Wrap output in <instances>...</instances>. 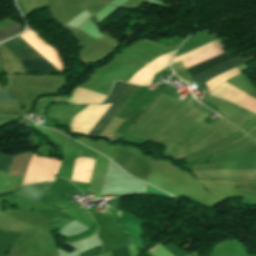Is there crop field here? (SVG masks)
<instances>
[{"label": "crop field", "mask_w": 256, "mask_h": 256, "mask_svg": "<svg viewBox=\"0 0 256 256\" xmlns=\"http://www.w3.org/2000/svg\"><path fill=\"white\" fill-rule=\"evenodd\" d=\"M4 45L18 58H25L38 53L34 51L29 45H27L20 38L4 43ZM27 73L30 72H44V73H57L58 71L52 67L43 57L40 55L21 59L20 60Z\"/></svg>", "instance_id": "1"}, {"label": "crop field", "mask_w": 256, "mask_h": 256, "mask_svg": "<svg viewBox=\"0 0 256 256\" xmlns=\"http://www.w3.org/2000/svg\"><path fill=\"white\" fill-rule=\"evenodd\" d=\"M11 157L12 156L0 154V172L7 173Z\"/></svg>", "instance_id": "7"}, {"label": "crop field", "mask_w": 256, "mask_h": 256, "mask_svg": "<svg viewBox=\"0 0 256 256\" xmlns=\"http://www.w3.org/2000/svg\"><path fill=\"white\" fill-rule=\"evenodd\" d=\"M246 62H249V61L243 60V59H233V60H230V61H228L220 66H217L209 71H206L192 79L201 85L202 83L208 81L209 79H211V78H213V77H215L233 67L244 64Z\"/></svg>", "instance_id": "4"}, {"label": "crop field", "mask_w": 256, "mask_h": 256, "mask_svg": "<svg viewBox=\"0 0 256 256\" xmlns=\"http://www.w3.org/2000/svg\"><path fill=\"white\" fill-rule=\"evenodd\" d=\"M55 178L51 179L54 180ZM54 181L42 182L40 184L24 185L22 189L13 193V195L21 196L32 201H39L48 191Z\"/></svg>", "instance_id": "3"}, {"label": "crop field", "mask_w": 256, "mask_h": 256, "mask_svg": "<svg viewBox=\"0 0 256 256\" xmlns=\"http://www.w3.org/2000/svg\"><path fill=\"white\" fill-rule=\"evenodd\" d=\"M137 86L124 84L121 82H117L108 99L105 103L114 102L108 112L103 116V118L97 123V125L91 130L88 134L90 136H98L100 132L104 129V127L108 124V122L112 119V117L116 114V112L123 105L124 101L131 95V93L136 89ZM104 103V104H105Z\"/></svg>", "instance_id": "2"}, {"label": "crop field", "mask_w": 256, "mask_h": 256, "mask_svg": "<svg viewBox=\"0 0 256 256\" xmlns=\"http://www.w3.org/2000/svg\"><path fill=\"white\" fill-rule=\"evenodd\" d=\"M0 99L4 100H16L14 96L6 89H0Z\"/></svg>", "instance_id": "9"}, {"label": "crop field", "mask_w": 256, "mask_h": 256, "mask_svg": "<svg viewBox=\"0 0 256 256\" xmlns=\"http://www.w3.org/2000/svg\"><path fill=\"white\" fill-rule=\"evenodd\" d=\"M21 30V25L15 23L7 28L0 30V41L18 33Z\"/></svg>", "instance_id": "6"}, {"label": "crop field", "mask_w": 256, "mask_h": 256, "mask_svg": "<svg viewBox=\"0 0 256 256\" xmlns=\"http://www.w3.org/2000/svg\"><path fill=\"white\" fill-rule=\"evenodd\" d=\"M112 256H130L128 247L119 248L111 251Z\"/></svg>", "instance_id": "8"}, {"label": "crop field", "mask_w": 256, "mask_h": 256, "mask_svg": "<svg viewBox=\"0 0 256 256\" xmlns=\"http://www.w3.org/2000/svg\"><path fill=\"white\" fill-rule=\"evenodd\" d=\"M230 59L231 58L226 53H224V54H222L220 56H217V57H215V58H213L211 60H208V61H206L204 63H201V64H199V65H197L195 67H192V68L188 69V72L190 73V75L192 77H194L197 74H199V73H201L203 71H206V70H208V69H210V68H212V67H214V66H216L218 64L224 63V62H226V61H228Z\"/></svg>", "instance_id": "5"}]
</instances>
